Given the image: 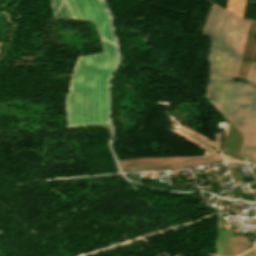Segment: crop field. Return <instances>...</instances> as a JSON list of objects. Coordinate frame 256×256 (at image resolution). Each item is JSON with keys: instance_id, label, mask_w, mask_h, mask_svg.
<instances>
[{"instance_id": "obj_8", "label": "crop field", "mask_w": 256, "mask_h": 256, "mask_svg": "<svg viewBox=\"0 0 256 256\" xmlns=\"http://www.w3.org/2000/svg\"><path fill=\"white\" fill-rule=\"evenodd\" d=\"M215 256H217V255H215Z\"/></svg>"}, {"instance_id": "obj_7", "label": "crop field", "mask_w": 256, "mask_h": 256, "mask_svg": "<svg viewBox=\"0 0 256 256\" xmlns=\"http://www.w3.org/2000/svg\"><path fill=\"white\" fill-rule=\"evenodd\" d=\"M240 256H256V244L252 250L240 255Z\"/></svg>"}, {"instance_id": "obj_1", "label": "crop field", "mask_w": 256, "mask_h": 256, "mask_svg": "<svg viewBox=\"0 0 256 256\" xmlns=\"http://www.w3.org/2000/svg\"><path fill=\"white\" fill-rule=\"evenodd\" d=\"M249 22L212 5L202 33L211 39L205 97L240 130L242 146H256V63L249 84L234 82Z\"/></svg>"}, {"instance_id": "obj_4", "label": "crop field", "mask_w": 256, "mask_h": 256, "mask_svg": "<svg viewBox=\"0 0 256 256\" xmlns=\"http://www.w3.org/2000/svg\"><path fill=\"white\" fill-rule=\"evenodd\" d=\"M120 167H134L173 163V168L204 165L221 161L219 155L190 156V157H148L117 160Z\"/></svg>"}, {"instance_id": "obj_5", "label": "crop field", "mask_w": 256, "mask_h": 256, "mask_svg": "<svg viewBox=\"0 0 256 256\" xmlns=\"http://www.w3.org/2000/svg\"><path fill=\"white\" fill-rule=\"evenodd\" d=\"M249 248H250V245L246 236L233 237V256H237L249 250Z\"/></svg>"}, {"instance_id": "obj_6", "label": "crop field", "mask_w": 256, "mask_h": 256, "mask_svg": "<svg viewBox=\"0 0 256 256\" xmlns=\"http://www.w3.org/2000/svg\"><path fill=\"white\" fill-rule=\"evenodd\" d=\"M245 0H228L227 9L241 17ZM233 13V14H234Z\"/></svg>"}, {"instance_id": "obj_3", "label": "crop field", "mask_w": 256, "mask_h": 256, "mask_svg": "<svg viewBox=\"0 0 256 256\" xmlns=\"http://www.w3.org/2000/svg\"><path fill=\"white\" fill-rule=\"evenodd\" d=\"M64 2L72 19L94 21L98 27L100 37L114 43L101 0H64Z\"/></svg>"}, {"instance_id": "obj_2", "label": "crop field", "mask_w": 256, "mask_h": 256, "mask_svg": "<svg viewBox=\"0 0 256 256\" xmlns=\"http://www.w3.org/2000/svg\"><path fill=\"white\" fill-rule=\"evenodd\" d=\"M102 43L104 53L80 56L73 68L65 102L68 126L108 123L107 81L116 51L114 45Z\"/></svg>"}]
</instances>
